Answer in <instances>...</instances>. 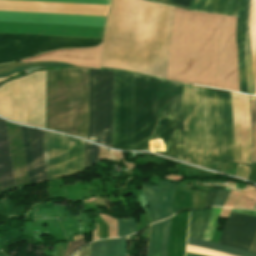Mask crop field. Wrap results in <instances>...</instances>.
<instances>
[{
    "mask_svg": "<svg viewBox=\"0 0 256 256\" xmlns=\"http://www.w3.org/2000/svg\"><path fill=\"white\" fill-rule=\"evenodd\" d=\"M173 11L150 0H111L101 68L165 79Z\"/></svg>",
    "mask_w": 256,
    "mask_h": 256,
    "instance_id": "8a807250",
    "label": "crop field"
},
{
    "mask_svg": "<svg viewBox=\"0 0 256 256\" xmlns=\"http://www.w3.org/2000/svg\"><path fill=\"white\" fill-rule=\"evenodd\" d=\"M220 161L234 155L230 91L217 89ZM216 89L182 83L185 162L206 168V160L219 161Z\"/></svg>",
    "mask_w": 256,
    "mask_h": 256,
    "instance_id": "ac0d7876",
    "label": "crop field"
},
{
    "mask_svg": "<svg viewBox=\"0 0 256 256\" xmlns=\"http://www.w3.org/2000/svg\"><path fill=\"white\" fill-rule=\"evenodd\" d=\"M158 143L183 161L181 84L133 74L132 150L159 153Z\"/></svg>",
    "mask_w": 256,
    "mask_h": 256,
    "instance_id": "34b2d1b8",
    "label": "crop field"
},
{
    "mask_svg": "<svg viewBox=\"0 0 256 256\" xmlns=\"http://www.w3.org/2000/svg\"><path fill=\"white\" fill-rule=\"evenodd\" d=\"M89 70L48 72L47 129L88 139Z\"/></svg>",
    "mask_w": 256,
    "mask_h": 256,
    "instance_id": "412701ff",
    "label": "crop field"
},
{
    "mask_svg": "<svg viewBox=\"0 0 256 256\" xmlns=\"http://www.w3.org/2000/svg\"><path fill=\"white\" fill-rule=\"evenodd\" d=\"M46 72L9 82L0 88V115L45 128Z\"/></svg>",
    "mask_w": 256,
    "mask_h": 256,
    "instance_id": "f4fd0767",
    "label": "crop field"
},
{
    "mask_svg": "<svg viewBox=\"0 0 256 256\" xmlns=\"http://www.w3.org/2000/svg\"><path fill=\"white\" fill-rule=\"evenodd\" d=\"M113 72L90 70L89 140L111 148Z\"/></svg>",
    "mask_w": 256,
    "mask_h": 256,
    "instance_id": "dd49c442",
    "label": "crop field"
},
{
    "mask_svg": "<svg viewBox=\"0 0 256 256\" xmlns=\"http://www.w3.org/2000/svg\"><path fill=\"white\" fill-rule=\"evenodd\" d=\"M102 39L0 33V63L9 62L45 49L91 47Z\"/></svg>",
    "mask_w": 256,
    "mask_h": 256,
    "instance_id": "e52e79f7",
    "label": "crop field"
},
{
    "mask_svg": "<svg viewBox=\"0 0 256 256\" xmlns=\"http://www.w3.org/2000/svg\"><path fill=\"white\" fill-rule=\"evenodd\" d=\"M132 75L114 72L112 148L131 150Z\"/></svg>",
    "mask_w": 256,
    "mask_h": 256,
    "instance_id": "d8731c3e",
    "label": "crop field"
},
{
    "mask_svg": "<svg viewBox=\"0 0 256 256\" xmlns=\"http://www.w3.org/2000/svg\"><path fill=\"white\" fill-rule=\"evenodd\" d=\"M249 5L250 0H239L236 39L238 46L240 92L254 95L248 26Z\"/></svg>",
    "mask_w": 256,
    "mask_h": 256,
    "instance_id": "5a996713",
    "label": "crop field"
},
{
    "mask_svg": "<svg viewBox=\"0 0 256 256\" xmlns=\"http://www.w3.org/2000/svg\"><path fill=\"white\" fill-rule=\"evenodd\" d=\"M231 96L234 119V161L250 163L251 135L249 96L232 91Z\"/></svg>",
    "mask_w": 256,
    "mask_h": 256,
    "instance_id": "3316defc",
    "label": "crop field"
},
{
    "mask_svg": "<svg viewBox=\"0 0 256 256\" xmlns=\"http://www.w3.org/2000/svg\"><path fill=\"white\" fill-rule=\"evenodd\" d=\"M109 6L5 1L0 0V11L64 13L106 16Z\"/></svg>",
    "mask_w": 256,
    "mask_h": 256,
    "instance_id": "28ad6ade",
    "label": "crop field"
},
{
    "mask_svg": "<svg viewBox=\"0 0 256 256\" xmlns=\"http://www.w3.org/2000/svg\"><path fill=\"white\" fill-rule=\"evenodd\" d=\"M106 17L0 12V21L104 27Z\"/></svg>",
    "mask_w": 256,
    "mask_h": 256,
    "instance_id": "d1516ede",
    "label": "crop field"
},
{
    "mask_svg": "<svg viewBox=\"0 0 256 256\" xmlns=\"http://www.w3.org/2000/svg\"><path fill=\"white\" fill-rule=\"evenodd\" d=\"M255 235V217L230 213L218 243L248 251Z\"/></svg>",
    "mask_w": 256,
    "mask_h": 256,
    "instance_id": "22f410ed",
    "label": "crop field"
},
{
    "mask_svg": "<svg viewBox=\"0 0 256 256\" xmlns=\"http://www.w3.org/2000/svg\"><path fill=\"white\" fill-rule=\"evenodd\" d=\"M67 137L49 133L48 167L51 179L65 177Z\"/></svg>",
    "mask_w": 256,
    "mask_h": 256,
    "instance_id": "cbeb9de0",
    "label": "crop field"
},
{
    "mask_svg": "<svg viewBox=\"0 0 256 256\" xmlns=\"http://www.w3.org/2000/svg\"><path fill=\"white\" fill-rule=\"evenodd\" d=\"M15 186L5 121L0 119V187Z\"/></svg>",
    "mask_w": 256,
    "mask_h": 256,
    "instance_id": "5142ce71",
    "label": "crop field"
},
{
    "mask_svg": "<svg viewBox=\"0 0 256 256\" xmlns=\"http://www.w3.org/2000/svg\"><path fill=\"white\" fill-rule=\"evenodd\" d=\"M36 183L46 181L43 162L44 132L27 128Z\"/></svg>",
    "mask_w": 256,
    "mask_h": 256,
    "instance_id": "d9b57169",
    "label": "crop field"
},
{
    "mask_svg": "<svg viewBox=\"0 0 256 256\" xmlns=\"http://www.w3.org/2000/svg\"><path fill=\"white\" fill-rule=\"evenodd\" d=\"M238 0H192L188 10L237 16Z\"/></svg>",
    "mask_w": 256,
    "mask_h": 256,
    "instance_id": "733c2abd",
    "label": "crop field"
},
{
    "mask_svg": "<svg viewBox=\"0 0 256 256\" xmlns=\"http://www.w3.org/2000/svg\"><path fill=\"white\" fill-rule=\"evenodd\" d=\"M169 220L151 226L148 256H165Z\"/></svg>",
    "mask_w": 256,
    "mask_h": 256,
    "instance_id": "4a817a6b",
    "label": "crop field"
},
{
    "mask_svg": "<svg viewBox=\"0 0 256 256\" xmlns=\"http://www.w3.org/2000/svg\"><path fill=\"white\" fill-rule=\"evenodd\" d=\"M83 141L69 138L67 143V171L68 176L82 171Z\"/></svg>",
    "mask_w": 256,
    "mask_h": 256,
    "instance_id": "bc2a9ffb",
    "label": "crop field"
},
{
    "mask_svg": "<svg viewBox=\"0 0 256 256\" xmlns=\"http://www.w3.org/2000/svg\"><path fill=\"white\" fill-rule=\"evenodd\" d=\"M211 209L202 211H191L190 214V226H189V237L202 239L209 217Z\"/></svg>",
    "mask_w": 256,
    "mask_h": 256,
    "instance_id": "214f88e0",
    "label": "crop field"
},
{
    "mask_svg": "<svg viewBox=\"0 0 256 256\" xmlns=\"http://www.w3.org/2000/svg\"><path fill=\"white\" fill-rule=\"evenodd\" d=\"M143 193L151 213L152 223L163 219V215L160 208L158 189L151 186L142 185Z\"/></svg>",
    "mask_w": 256,
    "mask_h": 256,
    "instance_id": "92a150f3",
    "label": "crop field"
},
{
    "mask_svg": "<svg viewBox=\"0 0 256 256\" xmlns=\"http://www.w3.org/2000/svg\"><path fill=\"white\" fill-rule=\"evenodd\" d=\"M160 185H165L166 188L159 189L160 197H161V208L164 214V217L167 218L173 215L172 211V198H173V191L176 188L175 184L166 181H159Z\"/></svg>",
    "mask_w": 256,
    "mask_h": 256,
    "instance_id": "dafd665d",
    "label": "crop field"
},
{
    "mask_svg": "<svg viewBox=\"0 0 256 256\" xmlns=\"http://www.w3.org/2000/svg\"><path fill=\"white\" fill-rule=\"evenodd\" d=\"M187 244L202 246V247L215 249V250H219V251H223V252H227V253H231V254H235V255H239V256H256L255 253L219 245V244L204 241V240L193 239V238H189V237H188Z\"/></svg>",
    "mask_w": 256,
    "mask_h": 256,
    "instance_id": "00972430",
    "label": "crop field"
},
{
    "mask_svg": "<svg viewBox=\"0 0 256 256\" xmlns=\"http://www.w3.org/2000/svg\"><path fill=\"white\" fill-rule=\"evenodd\" d=\"M255 0H251L250 15H249V26H250V38L252 47V61H253V73H254V87L256 95V54H255V41H256V6L254 16V27H255V41H254V27H253V15H254Z\"/></svg>",
    "mask_w": 256,
    "mask_h": 256,
    "instance_id": "a9b5d70f",
    "label": "crop field"
},
{
    "mask_svg": "<svg viewBox=\"0 0 256 256\" xmlns=\"http://www.w3.org/2000/svg\"><path fill=\"white\" fill-rule=\"evenodd\" d=\"M35 65L48 66V67H74V66L65 65L62 63H33L28 65L9 64V65L0 66V76L22 71L28 68L29 66H35Z\"/></svg>",
    "mask_w": 256,
    "mask_h": 256,
    "instance_id": "4177f3b9",
    "label": "crop field"
},
{
    "mask_svg": "<svg viewBox=\"0 0 256 256\" xmlns=\"http://www.w3.org/2000/svg\"><path fill=\"white\" fill-rule=\"evenodd\" d=\"M250 105H251V135H252L251 163H256V96L250 95Z\"/></svg>",
    "mask_w": 256,
    "mask_h": 256,
    "instance_id": "730fd06b",
    "label": "crop field"
},
{
    "mask_svg": "<svg viewBox=\"0 0 256 256\" xmlns=\"http://www.w3.org/2000/svg\"><path fill=\"white\" fill-rule=\"evenodd\" d=\"M20 129H21V135H22L25 159H26L29 183L31 185V184L35 183V180H34V174H33V168H32L31 156H30V149H29L27 131H26L25 127H21L20 126Z\"/></svg>",
    "mask_w": 256,
    "mask_h": 256,
    "instance_id": "eef30255",
    "label": "crop field"
},
{
    "mask_svg": "<svg viewBox=\"0 0 256 256\" xmlns=\"http://www.w3.org/2000/svg\"><path fill=\"white\" fill-rule=\"evenodd\" d=\"M126 237L108 240V256H125Z\"/></svg>",
    "mask_w": 256,
    "mask_h": 256,
    "instance_id": "ae1a2a85",
    "label": "crop field"
},
{
    "mask_svg": "<svg viewBox=\"0 0 256 256\" xmlns=\"http://www.w3.org/2000/svg\"><path fill=\"white\" fill-rule=\"evenodd\" d=\"M135 232V218L118 219V237L129 235Z\"/></svg>",
    "mask_w": 256,
    "mask_h": 256,
    "instance_id": "d3111659",
    "label": "crop field"
},
{
    "mask_svg": "<svg viewBox=\"0 0 256 256\" xmlns=\"http://www.w3.org/2000/svg\"><path fill=\"white\" fill-rule=\"evenodd\" d=\"M107 240L97 241L91 244L89 256H106Z\"/></svg>",
    "mask_w": 256,
    "mask_h": 256,
    "instance_id": "750c4746",
    "label": "crop field"
},
{
    "mask_svg": "<svg viewBox=\"0 0 256 256\" xmlns=\"http://www.w3.org/2000/svg\"><path fill=\"white\" fill-rule=\"evenodd\" d=\"M28 1H50V2H71V3H92L109 5V0H28Z\"/></svg>",
    "mask_w": 256,
    "mask_h": 256,
    "instance_id": "bd1437ed",
    "label": "crop field"
},
{
    "mask_svg": "<svg viewBox=\"0 0 256 256\" xmlns=\"http://www.w3.org/2000/svg\"><path fill=\"white\" fill-rule=\"evenodd\" d=\"M85 245L84 240H77L75 242H69L67 246V250L65 256H70L73 252H75L79 247Z\"/></svg>",
    "mask_w": 256,
    "mask_h": 256,
    "instance_id": "1d83c4d3",
    "label": "crop field"
},
{
    "mask_svg": "<svg viewBox=\"0 0 256 256\" xmlns=\"http://www.w3.org/2000/svg\"><path fill=\"white\" fill-rule=\"evenodd\" d=\"M229 192L224 190H218V194L215 200L214 206H222Z\"/></svg>",
    "mask_w": 256,
    "mask_h": 256,
    "instance_id": "120bbe31",
    "label": "crop field"
},
{
    "mask_svg": "<svg viewBox=\"0 0 256 256\" xmlns=\"http://www.w3.org/2000/svg\"><path fill=\"white\" fill-rule=\"evenodd\" d=\"M248 174H249V168L245 165H239L237 167V172H236V176L239 177H243V178H248Z\"/></svg>",
    "mask_w": 256,
    "mask_h": 256,
    "instance_id": "d32e631a",
    "label": "crop field"
},
{
    "mask_svg": "<svg viewBox=\"0 0 256 256\" xmlns=\"http://www.w3.org/2000/svg\"><path fill=\"white\" fill-rule=\"evenodd\" d=\"M90 143L84 144V163H83V168L86 169L89 167V151H90Z\"/></svg>",
    "mask_w": 256,
    "mask_h": 256,
    "instance_id": "5866460e",
    "label": "crop field"
},
{
    "mask_svg": "<svg viewBox=\"0 0 256 256\" xmlns=\"http://www.w3.org/2000/svg\"><path fill=\"white\" fill-rule=\"evenodd\" d=\"M218 189L210 188L205 207L212 206ZM204 207V208H205Z\"/></svg>",
    "mask_w": 256,
    "mask_h": 256,
    "instance_id": "028f5c9d",
    "label": "crop field"
},
{
    "mask_svg": "<svg viewBox=\"0 0 256 256\" xmlns=\"http://www.w3.org/2000/svg\"><path fill=\"white\" fill-rule=\"evenodd\" d=\"M47 137L48 133L45 132L44 135V142H43V148H44V162H45V172L47 175V179L49 180V174H48V168H47Z\"/></svg>",
    "mask_w": 256,
    "mask_h": 256,
    "instance_id": "e1f06a70",
    "label": "crop field"
},
{
    "mask_svg": "<svg viewBox=\"0 0 256 256\" xmlns=\"http://www.w3.org/2000/svg\"><path fill=\"white\" fill-rule=\"evenodd\" d=\"M98 146L92 144L90 151V163L91 165L98 161Z\"/></svg>",
    "mask_w": 256,
    "mask_h": 256,
    "instance_id": "0bd39190",
    "label": "crop field"
},
{
    "mask_svg": "<svg viewBox=\"0 0 256 256\" xmlns=\"http://www.w3.org/2000/svg\"><path fill=\"white\" fill-rule=\"evenodd\" d=\"M161 1H165V2H168V3H172V4H176V5L188 8L189 3H190L191 0H161Z\"/></svg>",
    "mask_w": 256,
    "mask_h": 256,
    "instance_id": "b80d0937",
    "label": "crop field"
},
{
    "mask_svg": "<svg viewBox=\"0 0 256 256\" xmlns=\"http://www.w3.org/2000/svg\"><path fill=\"white\" fill-rule=\"evenodd\" d=\"M90 244L80 250L79 256H88Z\"/></svg>",
    "mask_w": 256,
    "mask_h": 256,
    "instance_id": "c035e120",
    "label": "crop field"
},
{
    "mask_svg": "<svg viewBox=\"0 0 256 256\" xmlns=\"http://www.w3.org/2000/svg\"><path fill=\"white\" fill-rule=\"evenodd\" d=\"M222 164L223 163L212 162V169L220 171Z\"/></svg>",
    "mask_w": 256,
    "mask_h": 256,
    "instance_id": "c21b1889",
    "label": "crop field"
},
{
    "mask_svg": "<svg viewBox=\"0 0 256 256\" xmlns=\"http://www.w3.org/2000/svg\"><path fill=\"white\" fill-rule=\"evenodd\" d=\"M255 236H256V235H255ZM250 251L256 252V238H255V240H254V242H253V244H252V246H251V248H250Z\"/></svg>",
    "mask_w": 256,
    "mask_h": 256,
    "instance_id": "03da06ac",
    "label": "crop field"
},
{
    "mask_svg": "<svg viewBox=\"0 0 256 256\" xmlns=\"http://www.w3.org/2000/svg\"><path fill=\"white\" fill-rule=\"evenodd\" d=\"M186 256H200V255L186 253Z\"/></svg>",
    "mask_w": 256,
    "mask_h": 256,
    "instance_id": "b54c1fbb",
    "label": "crop field"
},
{
    "mask_svg": "<svg viewBox=\"0 0 256 256\" xmlns=\"http://www.w3.org/2000/svg\"><path fill=\"white\" fill-rule=\"evenodd\" d=\"M78 253H79V252H78ZM75 255H76V254H75ZM75 255H74V256H75ZM76 256H78V255H76Z\"/></svg>",
    "mask_w": 256,
    "mask_h": 256,
    "instance_id": "5d738f31",
    "label": "crop field"
}]
</instances>
